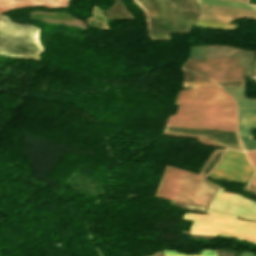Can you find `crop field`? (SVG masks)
<instances>
[{
	"instance_id": "obj_3",
	"label": "crop field",
	"mask_w": 256,
	"mask_h": 256,
	"mask_svg": "<svg viewBox=\"0 0 256 256\" xmlns=\"http://www.w3.org/2000/svg\"><path fill=\"white\" fill-rule=\"evenodd\" d=\"M145 14L152 40L169 39L167 34L187 33L198 12L194 0H133Z\"/></svg>"
},
{
	"instance_id": "obj_4",
	"label": "crop field",
	"mask_w": 256,
	"mask_h": 256,
	"mask_svg": "<svg viewBox=\"0 0 256 256\" xmlns=\"http://www.w3.org/2000/svg\"><path fill=\"white\" fill-rule=\"evenodd\" d=\"M42 50L39 29L11 23L0 15V55L37 60Z\"/></svg>"
},
{
	"instance_id": "obj_15",
	"label": "crop field",
	"mask_w": 256,
	"mask_h": 256,
	"mask_svg": "<svg viewBox=\"0 0 256 256\" xmlns=\"http://www.w3.org/2000/svg\"><path fill=\"white\" fill-rule=\"evenodd\" d=\"M192 87H219L214 82H198V83H184L183 88H192Z\"/></svg>"
},
{
	"instance_id": "obj_6",
	"label": "crop field",
	"mask_w": 256,
	"mask_h": 256,
	"mask_svg": "<svg viewBox=\"0 0 256 256\" xmlns=\"http://www.w3.org/2000/svg\"><path fill=\"white\" fill-rule=\"evenodd\" d=\"M237 58L188 60L184 68L213 80L244 79L243 67L237 68Z\"/></svg>"
},
{
	"instance_id": "obj_20",
	"label": "crop field",
	"mask_w": 256,
	"mask_h": 256,
	"mask_svg": "<svg viewBox=\"0 0 256 256\" xmlns=\"http://www.w3.org/2000/svg\"><path fill=\"white\" fill-rule=\"evenodd\" d=\"M250 78H252L253 80L256 81V75H254V76H252V77H250Z\"/></svg>"
},
{
	"instance_id": "obj_12",
	"label": "crop field",
	"mask_w": 256,
	"mask_h": 256,
	"mask_svg": "<svg viewBox=\"0 0 256 256\" xmlns=\"http://www.w3.org/2000/svg\"><path fill=\"white\" fill-rule=\"evenodd\" d=\"M195 26L206 27V28H215V29L233 30L237 25L197 21L195 23Z\"/></svg>"
},
{
	"instance_id": "obj_11",
	"label": "crop field",
	"mask_w": 256,
	"mask_h": 256,
	"mask_svg": "<svg viewBox=\"0 0 256 256\" xmlns=\"http://www.w3.org/2000/svg\"><path fill=\"white\" fill-rule=\"evenodd\" d=\"M198 4H215L223 6L238 7L256 11V4L235 2V1H225V0H197Z\"/></svg>"
},
{
	"instance_id": "obj_14",
	"label": "crop field",
	"mask_w": 256,
	"mask_h": 256,
	"mask_svg": "<svg viewBox=\"0 0 256 256\" xmlns=\"http://www.w3.org/2000/svg\"><path fill=\"white\" fill-rule=\"evenodd\" d=\"M184 81L183 82H198V81H211L203 76L182 69Z\"/></svg>"
},
{
	"instance_id": "obj_21",
	"label": "crop field",
	"mask_w": 256,
	"mask_h": 256,
	"mask_svg": "<svg viewBox=\"0 0 256 256\" xmlns=\"http://www.w3.org/2000/svg\"><path fill=\"white\" fill-rule=\"evenodd\" d=\"M235 1H244V2H248L249 0H235Z\"/></svg>"
},
{
	"instance_id": "obj_16",
	"label": "crop field",
	"mask_w": 256,
	"mask_h": 256,
	"mask_svg": "<svg viewBox=\"0 0 256 256\" xmlns=\"http://www.w3.org/2000/svg\"><path fill=\"white\" fill-rule=\"evenodd\" d=\"M221 87L243 86L244 80L216 81Z\"/></svg>"
},
{
	"instance_id": "obj_1",
	"label": "crop field",
	"mask_w": 256,
	"mask_h": 256,
	"mask_svg": "<svg viewBox=\"0 0 256 256\" xmlns=\"http://www.w3.org/2000/svg\"><path fill=\"white\" fill-rule=\"evenodd\" d=\"M218 186L204 177L166 166L154 196L188 205L206 207ZM209 215L185 213L183 219L194 220L190 234L233 237L256 240V222L238 220L239 217L256 219V203L218 188L208 210ZM226 233V234H214ZM254 244L256 242L250 241Z\"/></svg>"
},
{
	"instance_id": "obj_17",
	"label": "crop field",
	"mask_w": 256,
	"mask_h": 256,
	"mask_svg": "<svg viewBox=\"0 0 256 256\" xmlns=\"http://www.w3.org/2000/svg\"><path fill=\"white\" fill-rule=\"evenodd\" d=\"M245 151L256 149V141L239 137Z\"/></svg>"
},
{
	"instance_id": "obj_5",
	"label": "crop field",
	"mask_w": 256,
	"mask_h": 256,
	"mask_svg": "<svg viewBox=\"0 0 256 256\" xmlns=\"http://www.w3.org/2000/svg\"><path fill=\"white\" fill-rule=\"evenodd\" d=\"M251 172L254 173L255 169L249 164L244 153L226 150L218 165L208 177L216 180L224 178L228 181L244 183L253 175L252 173L248 178Z\"/></svg>"
},
{
	"instance_id": "obj_19",
	"label": "crop field",
	"mask_w": 256,
	"mask_h": 256,
	"mask_svg": "<svg viewBox=\"0 0 256 256\" xmlns=\"http://www.w3.org/2000/svg\"><path fill=\"white\" fill-rule=\"evenodd\" d=\"M247 191L255 193L256 194V177L253 179L250 186L247 188Z\"/></svg>"
},
{
	"instance_id": "obj_13",
	"label": "crop field",
	"mask_w": 256,
	"mask_h": 256,
	"mask_svg": "<svg viewBox=\"0 0 256 256\" xmlns=\"http://www.w3.org/2000/svg\"><path fill=\"white\" fill-rule=\"evenodd\" d=\"M164 256H217L216 251L205 249L201 250L200 254L198 255H188L185 253H178L177 251H171V250H163Z\"/></svg>"
},
{
	"instance_id": "obj_2",
	"label": "crop field",
	"mask_w": 256,
	"mask_h": 256,
	"mask_svg": "<svg viewBox=\"0 0 256 256\" xmlns=\"http://www.w3.org/2000/svg\"><path fill=\"white\" fill-rule=\"evenodd\" d=\"M175 115L166 126L219 129L236 132V105L221 88L180 91Z\"/></svg>"
},
{
	"instance_id": "obj_9",
	"label": "crop field",
	"mask_w": 256,
	"mask_h": 256,
	"mask_svg": "<svg viewBox=\"0 0 256 256\" xmlns=\"http://www.w3.org/2000/svg\"><path fill=\"white\" fill-rule=\"evenodd\" d=\"M200 7L202 11L200 19L231 23L240 17H246L256 21V12L253 11L215 5H200Z\"/></svg>"
},
{
	"instance_id": "obj_10",
	"label": "crop field",
	"mask_w": 256,
	"mask_h": 256,
	"mask_svg": "<svg viewBox=\"0 0 256 256\" xmlns=\"http://www.w3.org/2000/svg\"><path fill=\"white\" fill-rule=\"evenodd\" d=\"M68 0H0V13L20 7L46 5L47 7H66Z\"/></svg>"
},
{
	"instance_id": "obj_7",
	"label": "crop field",
	"mask_w": 256,
	"mask_h": 256,
	"mask_svg": "<svg viewBox=\"0 0 256 256\" xmlns=\"http://www.w3.org/2000/svg\"><path fill=\"white\" fill-rule=\"evenodd\" d=\"M165 132L199 135L208 140H211L220 145H223L227 148L242 150L241 144L236 136V133H233V132L208 130V129L175 128V127H166ZM224 150L225 149H219L213 152V154L205 163L202 174L206 175L208 173V171L215 165L216 161L218 160V158L220 157V155L223 153Z\"/></svg>"
},
{
	"instance_id": "obj_8",
	"label": "crop field",
	"mask_w": 256,
	"mask_h": 256,
	"mask_svg": "<svg viewBox=\"0 0 256 256\" xmlns=\"http://www.w3.org/2000/svg\"><path fill=\"white\" fill-rule=\"evenodd\" d=\"M236 101L238 108V135L253 139L248 128H256V99H246L243 87L223 88Z\"/></svg>"
},
{
	"instance_id": "obj_18",
	"label": "crop field",
	"mask_w": 256,
	"mask_h": 256,
	"mask_svg": "<svg viewBox=\"0 0 256 256\" xmlns=\"http://www.w3.org/2000/svg\"><path fill=\"white\" fill-rule=\"evenodd\" d=\"M246 153L249 158V161L256 168V151H250V152H246Z\"/></svg>"
}]
</instances>
